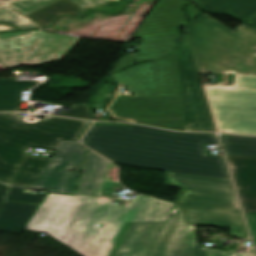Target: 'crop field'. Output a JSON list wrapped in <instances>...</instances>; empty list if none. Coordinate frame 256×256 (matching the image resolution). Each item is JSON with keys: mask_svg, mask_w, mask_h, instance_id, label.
<instances>
[{"mask_svg": "<svg viewBox=\"0 0 256 256\" xmlns=\"http://www.w3.org/2000/svg\"><path fill=\"white\" fill-rule=\"evenodd\" d=\"M166 185L181 188L176 202L183 205L189 224L227 226L232 236L248 237L231 182L166 172Z\"/></svg>", "mask_w": 256, "mask_h": 256, "instance_id": "5", "label": "crop field"}, {"mask_svg": "<svg viewBox=\"0 0 256 256\" xmlns=\"http://www.w3.org/2000/svg\"><path fill=\"white\" fill-rule=\"evenodd\" d=\"M46 41H47V40H46ZM46 41H45V42H46ZM45 42H43V43L41 44V46H42ZM41 46H40V47H41ZM40 47H39V48H40ZM39 48H38V49H39ZM36 52H37V51H36ZM36 52H35V53H36ZM33 56H34V55H33ZM33 56H32V57H33ZM30 60H31V59H30ZM31 62L34 63L32 60H31Z\"/></svg>", "mask_w": 256, "mask_h": 256, "instance_id": "34", "label": "crop field"}, {"mask_svg": "<svg viewBox=\"0 0 256 256\" xmlns=\"http://www.w3.org/2000/svg\"><path fill=\"white\" fill-rule=\"evenodd\" d=\"M36 207L37 205L4 201L0 210V231L20 233Z\"/></svg>", "mask_w": 256, "mask_h": 256, "instance_id": "14", "label": "crop field"}, {"mask_svg": "<svg viewBox=\"0 0 256 256\" xmlns=\"http://www.w3.org/2000/svg\"><path fill=\"white\" fill-rule=\"evenodd\" d=\"M104 180L117 182V168L110 162L107 163Z\"/></svg>", "mask_w": 256, "mask_h": 256, "instance_id": "24", "label": "crop field"}, {"mask_svg": "<svg viewBox=\"0 0 256 256\" xmlns=\"http://www.w3.org/2000/svg\"><path fill=\"white\" fill-rule=\"evenodd\" d=\"M102 200L48 193L25 229L46 232L82 256H114L131 222L165 221L173 205L142 195L125 207Z\"/></svg>", "mask_w": 256, "mask_h": 256, "instance_id": "2", "label": "crop field"}, {"mask_svg": "<svg viewBox=\"0 0 256 256\" xmlns=\"http://www.w3.org/2000/svg\"><path fill=\"white\" fill-rule=\"evenodd\" d=\"M189 3L185 0H158L132 36L143 38L139 52L121 56L112 72L130 66L134 61L162 58L169 54L180 37L178 28L187 22L182 9Z\"/></svg>", "mask_w": 256, "mask_h": 256, "instance_id": "8", "label": "crop field"}, {"mask_svg": "<svg viewBox=\"0 0 256 256\" xmlns=\"http://www.w3.org/2000/svg\"><path fill=\"white\" fill-rule=\"evenodd\" d=\"M186 10L190 16V20H192L193 18H195L196 16H198L199 14H201L202 12L198 11L193 4L186 7Z\"/></svg>", "mask_w": 256, "mask_h": 256, "instance_id": "26", "label": "crop field"}, {"mask_svg": "<svg viewBox=\"0 0 256 256\" xmlns=\"http://www.w3.org/2000/svg\"><path fill=\"white\" fill-rule=\"evenodd\" d=\"M17 30L15 27L9 24H0V31Z\"/></svg>", "mask_w": 256, "mask_h": 256, "instance_id": "28", "label": "crop field"}, {"mask_svg": "<svg viewBox=\"0 0 256 256\" xmlns=\"http://www.w3.org/2000/svg\"><path fill=\"white\" fill-rule=\"evenodd\" d=\"M49 39L35 54L33 57L34 64H41L49 61H53L54 57L59 54L64 47L73 42L69 45L66 50L57 58L60 59L78 40L79 38L66 36V35H54V34H47L42 30L39 31H25V32H14V33H4L0 34V61L7 67V55L5 51L4 44H8L9 53L11 58L12 67L22 66L19 62V56L17 51L18 40H21V49L23 53V65H34L31 64L29 59L40 46V44ZM60 41L48 54L43 62H39L44 54L48 51V49L56 42ZM56 59V60H57Z\"/></svg>", "mask_w": 256, "mask_h": 256, "instance_id": "10", "label": "crop field"}, {"mask_svg": "<svg viewBox=\"0 0 256 256\" xmlns=\"http://www.w3.org/2000/svg\"><path fill=\"white\" fill-rule=\"evenodd\" d=\"M220 139L226 155L256 156V137L222 134Z\"/></svg>", "mask_w": 256, "mask_h": 256, "instance_id": "20", "label": "crop field"}, {"mask_svg": "<svg viewBox=\"0 0 256 256\" xmlns=\"http://www.w3.org/2000/svg\"><path fill=\"white\" fill-rule=\"evenodd\" d=\"M67 46H68V45H67ZM67 46H66V47H67ZM64 50H65V49H64ZM64 50H63V51H64ZM63 51H62V52H63ZM62 52H61V53H62ZM61 53H60V54H61ZM60 54H59V55H60ZM59 55H57V56L55 57V59H56Z\"/></svg>", "mask_w": 256, "mask_h": 256, "instance_id": "35", "label": "crop field"}, {"mask_svg": "<svg viewBox=\"0 0 256 256\" xmlns=\"http://www.w3.org/2000/svg\"><path fill=\"white\" fill-rule=\"evenodd\" d=\"M7 186H8L7 184L0 183V207H1V204L3 202V198H4V195H5Z\"/></svg>", "mask_w": 256, "mask_h": 256, "instance_id": "27", "label": "crop field"}, {"mask_svg": "<svg viewBox=\"0 0 256 256\" xmlns=\"http://www.w3.org/2000/svg\"><path fill=\"white\" fill-rule=\"evenodd\" d=\"M18 50H19V55H20V61H21V64H22V54H21V50H20V41H19Z\"/></svg>", "mask_w": 256, "mask_h": 256, "instance_id": "31", "label": "crop field"}, {"mask_svg": "<svg viewBox=\"0 0 256 256\" xmlns=\"http://www.w3.org/2000/svg\"><path fill=\"white\" fill-rule=\"evenodd\" d=\"M177 59L180 72L185 131L217 132L185 35L179 41Z\"/></svg>", "mask_w": 256, "mask_h": 256, "instance_id": "9", "label": "crop field"}, {"mask_svg": "<svg viewBox=\"0 0 256 256\" xmlns=\"http://www.w3.org/2000/svg\"><path fill=\"white\" fill-rule=\"evenodd\" d=\"M176 51L163 60L113 74L134 96L115 94L105 110L111 112L110 117L184 131Z\"/></svg>", "mask_w": 256, "mask_h": 256, "instance_id": "4", "label": "crop field"}, {"mask_svg": "<svg viewBox=\"0 0 256 256\" xmlns=\"http://www.w3.org/2000/svg\"><path fill=\"white\" fill-rule=\"evenodd\" d=\"M234 76H235V75H229V74H227V76H226V83L232 84V83H233Z\"/></svg>", "mask_w": 256, "mask_h": 256, "instance_id": "29", "label": "crop field"}, {"mask_svg": "<svg viewBox=\"0 0 256 256\" xmlns=\"http://www.w3.org/2000/svg\"><path fill=\"white\" fill-rule=\"evenodd\" d=\"M248 21L256 23V14L253 17H251Z\"/></svg>", "mask_w": 256, "mask_h": 256, "instance_id": "30", "label": "crop field"}, {"mask_svg": "<svg viewBox=\"0 0 256 256\" xmlns=\"http://www.w3.org/2000/svg\"><path fill=\"white\" fill-rule=\"evenodd\" d=\"M107 160L88 150L77 193L101 196L106 189L122 187L119 183L103 181Z\"/></svg>", "mask_w": 256, "mask_h": 256, "instance_id": "13", "label": "crop field"}, {"mask_svg": "<svg viewBox=\"0 0 256 256\" xmlns=\"http://www.w3.org/2000/svg\"><path fill=\"white\" fill-rule=\"evenodd\" d=\"M20 113H0V161L16 173L29 147L55 150L61 140L77 141L89 122L45 116L25 123ZM9 183L10 179L0 176Z\"/></svg>", "mask_w": 256, "mask_h": 256, "instance_id": "7", "label": "crop field"}, {"mask_svg": "<svg viewBox=\"0 0 256 256\" xmlns=\"http://www.w3.org/2000/svg\"><path fill=\"white\" fill-rule=\"evenodd\" d=\"M49 158L29 155L19 171L11 181V184L31 188Z\"/></svg>", "mask_w": 256, "mask_h": 256, "instance_id": "18", "label": "crop field"}, {"mask_svg": "<svg viewBox=\"0 0 256 256\" xmlns=\"http://www.w3.org/2000/svg\"><path fill=\"white\" fill-rule=\"evenodd\" d=\"M39 81H16V79H0V111L17 110L22 91L31 89Z\"/></svg>", "mask_w": 256, "mask_h": 256, "instance_id": "16", "label": "crop field"}, {"mask_svg": "<svg viewBox=\"0 0 256 256\" xmlns=\"http://www.w3.org/2000/svg\"><path fill=\"white\" fill-rule=\"evenodd\" d=\"M200 7L212 12H226L247 20L256 13V0H196Z\"/></svg>", "mask_w": 256, "mask_h": 256, "instance_id": "15", "label": "crop field"}, {"mask_svg": "<svg viewBox=\"0 0 256 256\" xmlns=\"http://www.w3.org/2000/svg\"><path fill=\"white\" fill-rule=\"evenodd\" d=\"M72 106H73V109L71 108L69 111L61 110L59 115L79 118V119H86V120L91 119L92 115L89 109L87 108L86 104L72 105Z\"/></svg>", "mask_w": 256, "mask_h": 256, "instance_id": "23", "label": "crop field"}, {"mask_svg": "<svg viewBox=\"0 0 256 256\" xmlns=\"http://www.w3.org/2000/svg\"><path fill=\"white\" fill-rule=\"evenodd\" d=\"M81 9L68 0H61L29 16L31 20L41 27L50 26L58 16L80 14Z\"/></svg>", "mask_w": 256, "mask_h": 256, "instance_id": "17", "label": "crop field"}, {"mask_svg": "<svg viewBox=\"0 0 256 256\" xmlns=\"http://www.w3.org/2000/svg\"><path fill=\"white\" fill-rule=\"evenodd\" d=\"M59 0H7L2 3L10 6L23 15L31 14ZM79 8L90 7L111 0H70Z\"/></svg>", "mask_w": 256, "mask_h": 256, "instance_id": "19", "label": "crop field"}, {"mask_svg": "<svg viewBox=\"0 0 256 256\" xmlns=\"http://www.w3.org/2000/svg\"><path fill=\"white\" fill-rule=\"evenodd\" d=\"M85 150L79 143H61L32 188L74 193Z\"/></svg>", "mask_w": 256, "mask_h": 256, "instance_id": "11", "label": "crop field"}, {"mask_svg": "<svg viewBox=\"0 0 256 256\" xmlns=\"http://www.w3.org/2000/svg\"><path fill=\"white\" fill-rule=\"evenodd\" d=\"M184 28L198 73L236 74L233 86L205 87L219 131L256 135V29L206 14Z\"/></svg>", "mask_w": 256, "mask_h": 256, "instance_id": "1", "label": "crop field"}, {"mask_svg": "<svg viewBox=\"0 0 256 256\" xmlns=\"http://www.w3.org/2000/svg\"><path fill=\"white\" fill-rule=\"evenodd\" d=\"M194 228L184 222L181 207L174 204L166 222L132 223L116 256H255L197 245Z\"/></svg>", "mask_w": 256, "mask_h": 256, "instance_id": "6", "label": "crop field"}, {"mask_svg": "<svg viewBox=\"0 0 256 256\" xmlns=\"http://www.w3.org/2000/svg\"><path fill=\"white\" fill-rule=\"evenodd\" d=\"M14 174V172H12L9 168L0 162V175L12 179Z\"/></svg>", "mask_w": 256, "mask_h": 256, "instance_id": "25", "label": "crop field"}, {"mask_svg": "<svg viewBox=\"0 0 256 256\" xmlns=\"http://www.w3.org/2000/svg\"><path fill=\"white\" fill-rule=\"evenodd\" d=\"M216 134L175 133L145 126H92L82 144L109 160L230 180L223 157L207 156Z\"/></svg>", "mask_w": 256, "mask_h": 256, "instance_id": "3", "label": "crop field"}, {"mask_svg": "<svg viewBox=\"0 0 256 256\" xmlns=\"http://www.w3.org/2000/svg\"><path fill=\"white\" fill-rule=\"evenodd\" d=\"M5 47H6V51H7V55H8L9 66H11V64H10V58H9V53H8V47H7V45H5Z\"/></svg>", "mask_w": 256, "mask_h": 256, "instance_id": "33", "label": "crop field"}, {"mask_svg": "<svg viewBox=\"0 0 256 256\" xmlns=\"http://www.w3.org/2000/svg\"><path fill=\"white\" fill-rule=\"evenodd\" d=\"M23 188L8 186L5 200H12V201H22V202H32V203H40L41 199L43 198L44 194L38 193L37 196L22 193Z\"/></svg>", "mask_w": 256, "mask_h": 256, "instance_id": "22", "label": "crop field"}, {"mask_svg": "<svg viewBox=\"0 0 256 256\" xmlns=\"http://www.w3.org/2000/svg\"><path fill=\"white\" fill-rule=\"evenodd\" d=\"M0 21L10 22L18 26L20 29L37 27L34 23L24 19L23 17L19 16L18 14L9 10L8 8L2 6L1 4H0Z\"/></svg>", "mask_w": 256, "mask_h": 256, "instance_id": "21", "label": "crop field"}, {"mask_svg": "<svg viewBox=\"0 0 256 256\" xmlns=\"http://www.w3.org/2000/svg\"><path fill=\"white\" fill-rule=\"evenodd\" d=\"M226 159L256 242V157L227 156Z\"/></svg>", "mask_w": 256, "mask_h": 256, "instance_id": "12", "label": "crop field"}, {"mask_svg": "<svg viewBox=\"0 0 256 256\" xmlns=\"http://www.w3.org/2000/svg\"><path fill=\"white\" fill-rule=\"evenodd\" d=\"M58 42H56L50 49H49V51L46 53V55L42 58V60L41 61H43V59L47 56V54L51 51V49L57 44Z\"/></svg>", "mask_w": 256, "mask_h": 256, "instance_id": "32", "label": "crop field"}]
</instances>
